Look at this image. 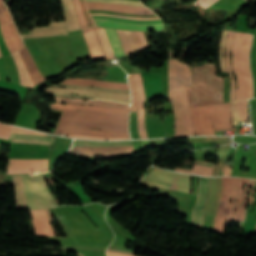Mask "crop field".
<instances>
[{
  "mask_svg": "<svg viewBox=\"0 0 256 256\" xmlns=\"http://www.w3.org/2000/svg\"><path fill=\"white\" fill-rule=\"evenodd\" d=\"M128 116L129 115L102 114L87 111H63L54 133L89 134L109 137L130 136L128 132ZM80 127L118 131L92 130Z\"/></svg>",
  "mask_w": 256,
  "mask_h": 256,
  "instance_id": "8a807250",
  "label": "crop field"
},
{
  "mask_svg": "<svg viewBox=\"0 0 256 256\" xmlns=\"http://www.w3.org/2000/svg\"><path fill=\"white\" fill-rule=\"evenodd\" d=\"M185 86H192L191 67L169 58L168 93L175 113L176 136L194 135Z\"/></svg>",
  "mask_w": 256,
  "mask_h": 256,
  "instance_id": "ac0d7876",
  "label": "crop field"
},
{
  "mask_svg": "<svg viewBox=\"0 0 256 256\" xmlns=\"http://www.w3.org/2000/svg\"><path fill=\"white\" fill-rule=\"evenodd\" d=\"M246 181V184H245ZM250 183V179L246 178H230L222 177V194L220 199L219 210L216 214L215 220V231L218 233H223L225 230V225L227 219L228 223H231L233 219L238 221H243L245 217V207L247 201V187ZM244 202L243 207L241 208L242 194L244 190ZM239 186V189H238ZM238 189V203L236 207L235 217L233 218L234 209L236 205V194ZM233 196L232 205H230L231 197Z\"/></svg>",
  "mask_w": 256,
  "mask_h": 256,
  "instance_id": "34b2d1b8",
  "label": "crop field"
},
{
  "mask_svg": "<svg viewBox=\"0 0 256 256\" xmlns=\"http://www.w3.org/2000/svg\"><path fill=\"white\" fill-rule=\"evenodd\" d=\"M224 78L216 77L214 64L193 68V87H187L190 106L223 102Z\"/></svg>",
  "mask_w": 256,
  "mask_h": 256,
  "instance_id": "412701ff",
  "label": "crop field"
},
{
  "mask_svg": "<svg viewBox=\"0 0 256 256\" xmlns=\"http://www.w3.org/2000/svg\"><path fill=\"white\" fill-rule=\"evenodd\" d=\"M252 35L235 32L231 49V63L236 76V99L252 97V79L249 70V48Z\"/></svg>",
  "mask_w": 256,
  "mask_h": 256,
  "instance_id": "f4fd0767",
  "label": "crop field"
},
{
  "mask_svg": "<svg viewBox=\"0 0 256 256\" xmlns=\"http://www.w3.org/2000/svg\"><path fill=\"white\" fill-rule=\"evenodd\" d=\"M13 178L18 209H42L56 206L44 184L43 174L33 177L18 175Z\"/></svg>",
  "mask_w": 256,
  "mask_h": 256,
  "instance_id": "dd49c442",
  "label": "crop field"
},
{
  "mask_svg": "<svg viewBox=\"0 0 256 256\" xmlns=\"http://www.w3.org/2000/svg\"><path fill=\"white\" fill-rule=\"evenodd\" d=\"M191 110L196 135H215L210 115H212L215 130L231 128L229 103L196 106L191 107Z\"/></svg>",
  "mask_w": 256,
  "mask_h": 256,
  "instance_id": "e52e79f7",
  "label": "crop field"
},
{
  "mask_svg": "<svg viewBox=\"0 0 256 256\" xmlns=\"http://www.w3.org/2000/svg\"><path fill=\"white\" fill-rule=\"evenodd\" d=\"M19 53L32 77V80L34 82V84H38L41 81L46 80L38 71L35 63L33 62L26 46L24 48H22L21 50H19ZM18 51L13 53L12 56L15 60V63L17 65V69H18V74H19V78H20V82L22 85L25 86H30V87H34V84L31 80V77L19 55ZM35 88V87H34Z\"/></svg>",
  "mask_w": 256,
  "mask_h": 256,
  "instance_id": "d8731c3e",
  "label": "crop field"
},
{
  "mask_svg": "<svg viewBox=\"0 0 256 256\" xmlns=\"http://www.w3.org/2000/svg\"><path fill=\"white\" fill-rule=\"evenodd\" d=\"M147 176L189 187V175L168 172L166 170L156 168ZM146 178H144L141 184L152 186V187L168 188L176 191L189 193V188L187 187H183L175 184H169V183L165 184V183H161L162 181L157 182L158 180L154 181Z\"/></svg>",
  "mask_w": 256,
  "mask_h": 256,
  "instance_id": "5a996713",
  "label": "crop field"
},
{
  "mask_svg": "<svg viewBox=\"0 0 256 256\" xmlns=\"http://www.w3.org/2000/svg\"><path fill=\"white\" fill-rule=\"evenodd\" d=\"M133 146L125 147H72L69 153H76L84 156H116L131 153Z\"/></svg>",
  "mask_w": 256,
  "mask_h": 256,
  "instance_id": "3316defc",
  "label": "crop field"
},
{
  "mask_svg": "<svg viewBox=\"0 0 256 256\" xmlns=\"http://www.w3.org/2000/svg\"><path fill=\"white\" fill-rule=\"evenodd\" d=\"M48 159H9L8 174H20L30 170H48Z\"/></svg>",
  "mask_w": 256,
  "mask_h": 256,
  "instance_id": "28ad6ade",
  "label": "crop field"
},
{
  "mask_svg": "<svg viewBox=\"0 0 256 256\" xmlns=\"http://www.w3.org/2000/svg\"><path fill=\"white\" fill-rule=\"evenodd\" d=\"M209 177H199L197 204L193 208L192 224L202 225L203 208L206 204L209 191Z\"/></svg>",
  "mask_w": 256,
  "mask_h": 256,
  "instance_id": "d1516ede",
  "label": "crop field"
},
{
  "mask_svg": "<svg viewBox=\"0 0 256 256\" xmlns=\"http://www.w3.org/2000/svg\"><path fill=\"white\" fill-rule=\"evenodd\" d=\"M94 29H98V28H96V27L91 28V29H89L85 32H88V31H91V30H94ZM85 32H83V33H85ZM84 35L86 37V40L88 42V45L90 47V50L92 52L93 57L107 56L108 55L107 50H106V46L104 44V41L102 39V36H101L99 30H94V31L85 33ZM89 47H88V49H89ZM90 50H89V52H90ZM91 52H90V54H91ZM92 55H91V57H92ZM93 57H92V59H93ZM104 58H106V60L110 59V57L107 56V57L94 58L93 61L95 59H104Z\"/></svg>",
  "mask_w": 256,
  "mask_h": 256,
  "instance_id": "22f410ed",
  "label": "crop field"
},
{
  "mask_svg": "<svg viewBox=\"0 0 256 256\" xmlns=\"http://www.w3.org/2000/svg\"><path fill=\"white\" fill-rule=\"evenodd\" d=\"M97 26L102 27H111V28H119V29H129V30H151V31H159L164 29V24H132L118 21H111L105 19H94Z\"/></svg>",
  "mask_w": 256,
  "mask_h": 256,
  "instance_id": "cbeb9de0",
  "label": "crop field"
},
{
  "mask_svg": "<svg viewBox=\"0 0 256 256\" xmlns=\"http://www.w3.org/2000/svg\"><path fill=\"white\" fill-rule=\"evenodd\" d=\"M88 9H99V10H107L121 13H135L141 15L153 14L147 8L141 7H133V6H125L111 3H97V2H86Z\"/></svg>",
  "mask_w": 256,
  "mask_h": 256,
  "instance_id": "5142ce71",
  "label": "crop field"
},
{
  "mask_svg": "<svg viewBox=\"0 0 256 256\" xmlns=\"http://www.w3.org/2000/svg\"><path fill=\"white\" fill-rule=\"evenodd\" d=\"M37 236H56L47 217L46 211H30Z\"/></svg>",
  "mask_w": 256,
  "mask_h": 256,
  "instance_id": "d9b57169",
  "label": "crop field"
},
{
  "mask_svg": "<svg viewBox=\"0 0 256 256\" xmlns=\"http://www.w3.org/2000/svg\"><path fill=\"white\" fill-rule=\"evenodd\" d=\"M47 92L52 93H67V94H83V95H93V96H110L130 100V93H110L103 91H94V90H82V89H67V88H54L47 87L45 89Z\"/></svg>",
  "mask_w": 256,
  "mask_h": 256,
  "instance_id": "733c2abd",
  "label": "crop field"
},
{
  "mask_svg": "<svg viewBox=\"0 0 256 256\" xmlns=\"http://www.w3.org/2000/svg\"><path fill=\"white\" fill-rule=\"evenodd\" d=\"M2 35L4 38V41L10 51V53L18 50L23 46L22 40L19 36V33L17 29L15 28L13 22L5 25V26H0Z\"/></svg>",
  "mask_w": 256,
  "mask_h": 256,
  "instance_id": "4a817a6b",
  "label": "crop field"
},
{
  "mask_svg": "<svg viewBox=\"0 0 256 256\" xmlns=\"http://www.w3.org/2000/svg\"><path fill=\"white\" fill-rule=\"evenodd\" d=\"M52 109L57 110H87L96 111L103 113H115V114H129V110L125 109H115V108H105V107H95V106H85V105H66L60 103H50Z\"/></svg>",
  "mask_w": 256,
  "mask_h": 256,
  "instance_id": "bc2a9ffb",
  "label": "crop field"
},
{
  "mask_svg": "<svg viewBox=\"0 0 256 256\" xmlns=\"http://www.w3.org/2000/svg\"><path fill=\"white\" fill-rule=\"evenodd\" d=\"M67 34L65 22L51 23L49 26L34 28L30 30L29 34L21 35L22 38L47 36V35H61Z\"/></svg>",
  "mask_w": 256,
  "mask_h": 256,
  "instance_id": "214f88e0",
  "label": "crop field"
},
{
  "mask_svg": "<svg viewBox=\"0 0 256 256\" xmlns=\"http://www.w3.org/2000/svg\"><path fill=\"white\" fill-rule=\"evenodd\" d=\"M134 76L138 91V131L141 138H147L144 129V89L142 85L141 75L134 74Z\"/></svg>",
  "mask_w": 256,
  "mask_h": 256,
  "instance_id": "92a150f3",
  "label": "crop field"
},
{
  "mask_svg": "<svg viewBox=\"0 0 256 256\" xmlns=\"http://www.w3.org/2000/svg\"><path fill=\"white\" fill-rule=\"evenodd\" d=\"M61 83L100 86V87H107V88H113V89H129L128 85L125 83H115V82L89 80V79H66Z\"/></svg>",
  "mask_w": 256,
  "mask_h": 256,
  "instance_id": "dafd665d",
  "label": "crop field"
},
{
  "mask_svg": "<svg viewBox=\"0 0 256 256\" xmlns=\"http://www.w3.org/2000/svg\"><path fill=\"white\" fill-rule=\"evenodd\" d=\"M74 1V8L76 10L81 30H85L90 27H94L95 23L93 19L90 17L89 12L86 8L85 0H73Z\"/></svg>",
  "mask_w": 256,
  "mask_h": 256,
  "instance_id": "00972430",
  "label": "crop field"
},
{
  "mask_svg": "<svg viewBox=\"0 0 256 256\" xmlns=\"http://www.w3.org/2000/svg\"><path fill=\"white\" fill-rule=\"evenodd\" d=\"M116 30L122 43L125 56L139 50L132 31Z\"/></svg>",
  "mask_w": 256,
  "mask_h": 256,
  "instance_id": "a9b5d70f",
  "label": "crop field"
},
{
  "mask_svg": "<svg viewBox=\"0 0 256 256\" xmlns=\"http://www.w3.org/2000/svg\"><path fill=\"white\" fill-rule=\"evenodd\" d=\"M68 31L79 29L72 0H62Z\"/></svg>",
  "mask_w": 256,
  "mask_h": 256,
  "instance_id": "4177f3b9",
  "label": "crop field"
},
{
  "mask_svg": "<svg viewBox=\"0 0 256 256\" xmlns=\"http://www.w3.org/2000/svg\"><path fill=\"white\" fill-rule=\"evenodd\" d=\"M233 33L229 31L228 32V37H227V42H226V47H225V66L226 70L230 75V80H231V92H230V100H234V95H235V81L233 76L231 75L232 69L230 65V46H231V41L233 37Z\"/></svg>",
  "mask_w": 256,
  "mask_h": 256,
  "instance_id": "730fd06b",
  "label": "crop field"
},
{
  "mask_svg": "<svg viewBox=\"0 0 256 256\" xmlns=\"http://www.w3.org/2000/svg\"><path fill=\"white\" fill-rule=\"evenodd\" d=\"M246 104L247 100L230 102L232 122L234 125L238 124V121H247L246 118ZM240 106H241V119H240Z\"/></svg>",
  "mask_w": 256,
  "mask_h": 256,
  "instance_id": "eef30255",
  "label": "crop field"
},
{
  "mask_svg": "<svg viewBox=\"0 0 256 256\" xmlns=\"http://www.w3.org/2000/svg\"><path fill=\"white\" fill-rule=\"evenodd\" d=\"M195 162H196V165L193 170L177 168L176 171L202 175V176H212V171H213L212 164L201 162V161H195Z\"/></svg>",
  "mask_w": 256,
  "mask_h": 256,
  "instance_id": "ae1a2a85",
  "label": "crop field"
},
{
  "mask_svg": "<svg viewBox=\"0 0 256 256\" xmlns=\"http://www.w3.org/2000/svg\"><path fill=\"white\" fill-rule=\"evenodd\" d=\"M55 98L57 102H63V103L104 105V106H113V107H120V108H126V109H129L130 107L127 105L105 103V102H93V101L83 102L82 99H78V98H63V97H55Z\"/></svg>",
  "mask_w": 256,
  "mask_h": 256,
  "instance_id": "d3111659",
  "label": "crop field"
},
{
  "mask_svg": "<svg viewBox=\"0 0 256 256\" xmlns=\"http://www.w3.org/2000/svg\"><path fill=\"white\" fill-rule=\"evenodd\" d=\"M104 29L106 31V34H107V36L109 38V41L111 43V46L113 48L115 57L116 58L123 57L124 56L123 50H122L121 45L119 43V40H118V37H117V34H116V30L115 29H109V28H104Z\"/></svg>",
  "mask_w": 256,
  "mask_h": 256,
  "instance_id": "750c4746",
  "label": "crop field"
},
{
  "mask_svg": "<svg viewBox=\"0 0 256 256\" xmlns=\"http://www.w3.org/2000/svg\"><path fill=\"white\" fill-rule=\"evenodd\" d=\"M132 145L131 141L100 142V141H75L73 146H125Z\"/></svg>",
  "mask_w": 256,
  "mask_h": 256,
  "instance_id": "bd1437ed",
  "label": "crop field"
},
{
  "mask_svg": "<svg viewBox=\"0 0 256 256\" xmlns=\"http://www.w3.org/2000/svg\"><path fill=\"white\" fill-rule=\"evenodd\" d=\"M13 139H25V140H33V141H48V142L53 141V137H50V136L33 135V134H16V133H14Z\"/></svg>",
  "mask_w": 256,
  "mask_h": 256,
  "instance_id": "1d83c4d3",
  "label": "crop field"
},
{
  "mask_svg": "<svg viewBox=\"0 0 256 256\" xmlns=\"http://www.w3.org/2000/svg\"><path fill=\"white\" fill-rule=\"evenodd\" d=\"M250 60H251V70H252V75L254 79V88H255L254 97H256V33L254 35V40L251 48Z\"/></svg>",
  "mask_w": 256,
  "mask_h": 256,
  "instance_id": "120bbe31",
  "label": "crop field"
},
{
  "mask_svg": "<svg viewBox=\"0 0 256 256\" xmlns=\"http://www.w3.org/2000/svg\"><path fill=\"white\" fill-rule=\"evenodd\" d=\"M129 85L131 87L132 106L131 111H137V92L133 80V75H128Z\"/></svg>",
  "mask_w": 256,
  "mask_h": 256,
  "instance_id": "d32e631a",
  "label": "crop field"
},
{
  "mask_svg": "<svg viewBox=\"0 0 256 256\" xmlns=\"http://www.w3.org/2000/svg\"><path fill=\"white\" fill-rule=\"evenodd\" d=\"M48 86H56V87H68V88H85V89H95V90H103V91H110V92H130L129 90H112L106 88H98V87H90V86H78V85H53V84H46Z\"/></svg>",
  "mask_w": 256,
  "mask_h": 256,
  "instance_id": "5866460e",
  "label": "crop field"
},
{
  "mask_svg": "<svg viewBox=\"0 0 256 256\" xmlns=\"http://www.w3.org/2000/svg\"><path fill=\"white\" fill-rule=\"evenodd\" d=\"M12 21L8 10L5 8L2 0H0V25Z\"/></svg>",
  "mask_w": 256,
  "mask_h": 256,
  "instance_id": "028f5c9d",
  "label": "crop field"
},
{
  "mask_svg": "<svg viewBox=\"0 0 256 256\" xmlns=\"http://www.w3.org/2000/svg\"><path fill=\"white\" fill-rule=\"evenodd\" d=\"M133 33L135 35L140 50L149 47L142 32L133 31Z\"/></svg>",
  "mask_w": 256,
  "mask_h": 256,
  "instance_id": "e1f06a70",
  "label": "crop field"
},
{
  "mask_svg": "<svg viewBox=\"0 0 256 256\" xmlns=\"http://www.w3.org/2000/svg\"><path fill=\"white\" fill-rule=\"evenodd\" d=\"M227 32H228V30L223 31L221 47H220V63H221V69L223 72H226L225 67H224V57H222V56L224 54V47H225Z\"/></svg>",
  "mask_w": 256,
  "mask_h": 256,
  "instance_id": "0bd39190",
  "label": "crop field"
},
{
  "mask_svg": "<svg viewBox=\"0 0 256 256\" xmlns=\"http://www.w3.org/2000/svg\"><path fill=\"white\" fill-rule=\"evenodd\" d=\"M87 1L111 2V3H118V4H125V5H133V6H142V7H144L140 2L129 1V0H87Z\"/></svg>",
  "mask_w": 256,
  "mask_h": 256,
  "instance_id": "b80d0937",
  "label": "crop field"
},
{
  "mask_svg": "<svg viewBox=\"0 0 256 256\" xmlns=\"http://www.w3.org/2000/svg\"><path fill=\"white\" fill-rule=\"evenodd\" d=\"M93 18H106V19L133 22V23H159V22H162V20H158V21H136V20H130V19H119L117 17H109V16H93Z\"/></svg>",
  "mask_w": 256,
  "mask_h": 256,
  "instance_id": "c035e120",
  "label": "crop field"
},
{
  "mask_svg": "<svg viewBox=\"0 0 256 256\" xmlns=\"http://www.w3.org/2000/svg\"><path fill=\"white\" fill-rule=\"evenodd\" d=\"M11 132H13V126L0 123V135L9 137ZM3 136H0V137L8 139L7 137H3Z\"/></svg>",
  "mask_w": 256,
  "mask_h": 256,
  "instance_id": "c21b1889",
  "label": "crop field"
},
{
  "mask_svg": "<svg viewBox=\"0 0 256 256\" xmlns=\"http://www.w3.org/2000/svg\"><path fill=\"white\" fill-rule=\"evenodd\" d=\"M54 95L67 96V97L99 98V99L115 100V101H121V102L130 103V101H128V100H122V99H116V98H108V97H93V96L66 95V94H54Z\"/></svg>",
  "mask_w": 256,
  "mask_h": 256,
  "instance_id": "03da06ac",
  "label": "crop field"
},
{
  "mask_svg": "<svg viewBox=\"0 0 256 256\" xmlns=\"http://www.w3.org/2000/svg\"><path fill=\"white\" fill-rule=\"evenodd\" d=\"M100 31H101L102 36H103V38H104V41H105V43H106V46H107L108 52H109V54H110L111 58H112V59H114L115 57H114V54H113L112 48H111V46H110V43H109V41H108V38H107V36H106V34H105V31H104V29H103V28H100Z\"/></svg>",
  "mask_w": 256,
  "mask_h": 256,
  "instance_id": "b54c1fbb",
  "label": "crop field"
},
{
  "mask_svg": "<svg viewBox=\"0 0 256 256\" xmlns=\"http://www.w3.org/2000/svg\"><path fill=\"white\" fill-rule=\"evenodd\" d=\"M65 136H71L76 138H89V139H124V138L92 137V136H84V135H65ZM125 138H130V137H125Z\"/></svg>",
  "mask_w": 256,
  "mask_h": 256,
  "instance_id": "5d738f31",
  "label": "crop field"
},
{
  "mask_svg": "<svg viewBox=\"0 0 256 256\" xmlns=\"http://www.w3.org/2000/svg\"><path fill=\"white\" fill-rule=\"evenodd\" d=\"M91 15H110V16H117V17H120V18H130V19L141 20V18L128 17V16H119V15H112V14H104V13H91ZM152 19H159V18L158 17H154Z\"/></svg>",
  "mask_w": 256,
  "mask_h": 256,
  "instance_id": "d23c7cc5",
  "label": "crop field"
},
{
  "mask_svg": "<svg viewBox=\"0 0 256 256\" xmlns=\"http://www.w3.org/2000/svg\"><path fill=\"white\" fill-rule=\"evenodd\" d=\"M14 132L44 134V133H39V132H35V131L25 130V129H21V128H17V127H15V131ZM45 135H47V134H45Z\"/></svg>",
  "mask_w": 256,
  "mask_h": 256,
  "instance_id": "425ffa30",
  "label": "crop field"
},
{
  "mask_svg": "<svg viewBox=\"0 0 256 256\" xmlns=\"http://www.w3.org/2000/svg\"><path fill=\"white\" fill-rule=\"evenodd\" d=\"M255 183L256 180L252 181V186H251V192H250V197H249V203H253L254 198L251 196V193H253L254 189H255Z\"/></svg>",
  "mask_w": 256,
  "mask_h": 256,
  "instance_id": "25e5ab78",
  "label": "crop field"
},
{
  "mask_svg": "<svg viewBox=\"0 0 256 256\" xmlns=\"http://www.w3.org/2000/svg\"><path fill=\"white\" fill-rule=\"evenodd\" d=\"M12 142L40 143V144H48V145H51V144H52V143L32 142V141H25V140H13Z\"/></svg>",
  "mask_w": 256,
  "mask_h": 256,
  "instance_id": "73cf0c24",
  "label": "crop field"
},
{
  "mask_svg": "<svg viewBox=\"0 0 256 256\" xmlns=\"http://www.w3.org/2000/svg\"><path fill=\"white\" fill-rule=\"evenodd\" d=\"M230 167H231V166L226 167V165H225V171H224V174H223V175H229V176H230V172H231Z\"/></svg>",
  "mask_w": 256,
  "mask_h": 256,
  "instance_id": "89e229c0",
  "label": "crop field"
},
{
  "mask_svg": "<svg viewBox=\"0 0 256 256\" xmlns=\"http://www.w3.org/2000/svg\"><path fill=\"white\" fill-rule=\"evenodd\" d=\"M198 1L204 2V3L209 4V5H212L217 0H198Z\"/></svg>",
  "mask_w": 256,
  "mask_h": 256,
  "instance_id": "1f2cbd36",
  "label": "crop field"
},
{
  "mask_svg": "<svg viewBox=\"0 0 256 256\" xmlns=\"http://www.w3.org/2000/svg\"><path fill=\"white\" fill-rule=\"evenodd\" d=\"M107 251H110V252H121V253H126V254H132V255H134V253H131V252H125V251H119V250L107 249Z\"/></svg>",
  "mask_w": 256,
  "mask_h": 256,
  "instance_id": "dbb93151",
  "label": "crop field"
},
{
  "mask_svg": "<svg viewBox=\"0 0 256 256\" xmlns=\"http://www.w3.org/2000/svg\"><path fill=\"white\" fill-rule=\"evenodd\" d=\"M107 256H114V255H116V256H130V255H124V254H116V253H109V252H107Z\"/></svg>",
  "mask_w": 256,
  "mask_h": 256,
  "instance_id": "0fb4a251",
  "label": "crop field"
},
{
  "mask_svg": "<svg viewBox=\"0 0 256 256\" xmlns=\"http://www.w3.org/2000/svg\"><path fill=\"white\" fill-rule=\"evenodd\" d=\"M144 147H149L148 140H141Z\"/></svg>",
  "mask_w": 256,
  "mask_h": 256,
  "instance_id": "1d79db26",
  "label": "crop field"
},
{
  "mask_svg": "<svg viewBox=\"0 0 256 256\" xmlns=\"http://www.w3.org/2000/svg\"><path fill=\"white\" fill-rule=\"evenodd\" d=\"M47 213H48L49 220H50V221H53L49 209H47Z\"/></svg>",
  "mask_w": 256,
  "mask_h": 256,
  "instance_id": "9d1cf04e",
  "label": "crop field"
},
{
  "mask_svg": "<svg viewBox=\"0 0 256 256\" xmlns=\"http://www.w3.org/2000/svg\"><path fill=\"white\" fill-rule=\"evenodd\" d=\"M141 70L138 68L133 67V72H140Z\"/></svg>",
  "mask_w": 256,
  "mask_h": 256,
  "instance_id": "447ae74e",
  "label": "crop field"
},
{
  "mask_svg": "<svg viewBox=\"0 0 256 256\" xmlns=\"http://www.w3.org/2000/svg\"><path fill=\"white\" fill-rule=\"evenodd\" d=\"M2 55H1V53H0V57H1Z\"/></svg>",
  "mask_w": 256,
  "mask_h": 256,
  "instance_id": "0765c3eb",
  "label": "crop field"
}]
</instances>
